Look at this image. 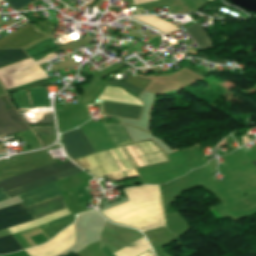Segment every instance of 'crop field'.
I'll use <instances>...</instances> for the list:
<instances>
[{
  "label": "crop field",
  "instance_id": "1",
  "mask_svg": "<svg viewBox=\"0 0 256 256\" xmlns=\"http://www.w3.org/2000/svg\"><path fill=\"white\" fill-rule=\"evenodd\" d=\"M78 168L77 167L72 168L70 170L50 176V178L52 179V181H56V180L83 172ZM50 178L47 177L45 179L36 181L34 183L25 185L23 187L11 190L9 192H6V194L8 195L9 198L14 197L21 193H24L29 190L35 189L37 187L43 186L45 184L51 183L52 181L50 180ZM58 197H61V194L55 182L47 186L38 188L36 190L19 195V198L21 199V201L24 202L27 209L40 205L42 203L48 202L50 200L56 199ZM65 208L66 207L64 205L63 198L61 197L56 200L50 201L48 203L42 204L32 209H29V212L34 217V219H36ZM73 220L74 219L70 213L66 216L41 224V226L53 237L59 231H61L63 228H65L67 225L73 222Z\"/></svg>",
  "mask_w": 256,
  "mask_h": 256
},
{
  "label": "crop field",
  "instance_id": "2",
  "mask_svg": "<svg viewBox=\"0 0 256 256\" xmlns=\"http://www.w3.org/2000/svg\"><path fill=\"white\" fill-rule=\"evenodd\" d=\"M104 126L116 147L132 143L124 126L108 124H104ZM62 136L64 140V148L72 159L94 153V150L83 135L80 128H77Z\"/></svg>",
  "mask_w": 256,
  "mask_h": 256
},
{
  "label": "crop field",
  "instance_id": "3",
  "mask_svg": "<svg viewBox=\"0 0 256 256\" xmlns=\"http://www.w3.org/2000/svg\"><path fill=\"white\" fill-rule=\"evenodd\" d=\"M75 167L70 161L59 164L58 162L44 166L42 168L18 175L16 177L4 180L0 182V189L3 188L4 191H9L11 189L20 187L22 185L31 183L33 181L42 179L44 177L53 175L55 173L67 170L69 168Z\"/></svg>",
  "mask_w": 256,
  "mask_h": 256
},
{
  "label": "crop field",
  "instance_id": "4",
  "mask_svg": "<svg viewBox=\"0 0 256 256\" xmlns=\"http://www.w3.org/2000/svg\"><path fill=\"white\" fill-rule=\"evenodd\" d=\"M5 95L0 85V96ZM29 130L20 119L7 95L0 97V137Z\"/></svg>",
  "mask_w": 256,
  "mask_h": 256
},
{
  "label": "crop field",
  "instance_id": "5",
  "mask_svg": "<svg viewBox=\"0 0 256 256\" xmlns=\"http://www.w3.org/2000/svg\"><path fill=\"white\" fill-rule=\"evenodd\" d=\"M39 32V31H38ZM29 24L0 40V48L26 47L45 37Z\"/></svg>",
  "mask_w": 256,
  "mask_h": 256
},
{
  "label": "crop field",
  "instance_id": "6",
  "mask_svg": "<svg viewBox=\"0 0 256 256\" xmlns=\"http://www.w3.org/2000/svg\"><path fill=\"white\" fill-rule=\"evenodd\" d=\"M29 220L33 219L22 202L0 210V230Z\"/></svg>",
  "mask_w": 256,
  "mask_h": 256
},
{
  "label": "crop field",
  "instance_id": "7",
  "mask_svg": "<svg viewBox=\"0 0 256 256\" xmlns=\"http://www.w3.org/2000/svg\"><path fill=\"white\" fill-rule=\"evenodd\" d=\"M141 108L142 107L109 102H104L102 105L103 112L108 115L134 119L139 118Z\"/></svg>",
  "mask_w": 256,
  "mask_h": 256
},
{
  "label": "crop field",
  "instance_id": "8",
  "mask_svg": "<svg viewBox=\"0 0 256 256\" xmlns=\"http://www.w3.org/2000/svg\"><path fill=\"white\" fill-rule=\"evenodd\" d=\"M21 249L22 247L11 235L0 238V254H6Z\"/></svg>",
  "mask_w": 256,
  "mask_h": 256
},
{
  "label": "crop field",
  "instance_id": "9",
  "mask_svg": "<svg viewBox=\"0 0 256 256\" xmlns=\"http://www.w3.org/2000/svg\"><path fill=\"white\" fill-rule=\"evenodd\" d=\"M27 57L21 49L0 50V65Z\"/></svg>",
  "mask_w": 256,
  "mask_h": 256
},
{
  "label": "crop field",
  "instance_id": "10",
  "mask_svg": "<svg viewBox=\"0 0 256 256\" xmlns=\"http://www.w3.org/2000/svg\"><path fill=\"white\" fill-rule=\"evenodd\" d=\"M184 29L194 39V41L199 46V48H208L209 47L205 38L202 36V34L199 32V30L196 28V26L194 24H192Z\"/></svg>",
  "mask_w": 256,
  "mask_h": 256
},
{
  "label": "crop field",
  "instance_id": "11",
  "mask_svg": "<svg viewBox=\"0 0 256 256\" xmlns=\"http://www.w3.org/2000/svg\"><path fill=\"white\" fill-rule=\"evenodd\" d=\"M125 82L143 90L144 87L148 84L149 80H145V79L127 75Z\"/></svg>",
  "mask_w": 256,
  "mask_h": 256
},
{
  "label": "crop field",
  "instance_id": "12",
  "mask_svg": "<svg viewBox=\"0 0 256 256\" xmlns=\"http://www.w3.org/2000/svg\"><path fill=\"white\" fill-rule=\"evenodd\" d=\"M39 135H55L54 126H32Z\"/></svg>",
  "mask_w": 256,
  "mask_h": 256
},
{
  "label": "crop field",
  "instance_id": "13",
  "mask_svg": "<svg viewBox=\"0 0 256 256\" xmlns=\"http://www.w3.org/2000/svg\"><path fill=\"white\" fill-rule=\"evenodd\" d=\"M109 84H113V85H117V86H122L125 89H127L129 91H132V92H134V93H136L138 95L142 92L141 90H139V89H137V88H135V87L125 83V82L118 81V80H115V79L109 81Z\"/></svg>",
  "mask_w": 256,
  "mask_h": 256
},
{
  "label": "crop field",
  "instance_id": "14",
  "mask_svg": "<svg viewBox=\"0 0 256 256\" xmlns=\"http://www.w3.org/2000/svg\"><path fill=\"white\" fill-rule=\"evenodd\" d=\"M9 5H11L15 10L27 5L33 0H5Z\"/></svg>",
  "mask_w": 256,
  "mask_h": 256
},
{
  "label": "crop field",
  "instance_id": "15",
  "mask_svg": "<svg viewBox=\"0 0 256 256\" xmlns=\"http://www.w3.org/2000/svg\"><path fill=\"white\" fill-rule=\"evenodd\" d=\"M194 24H195V25L197 26V28L201 31V33L204 35V37L206 38V40H207L209 46L213 45L212 42L210 41L208 35H207L206 32L201 28V26L198 24V22H196V23H194Z\"/></svg>",
  "mask_w": 256,
  "mask_h": 256
},
{
  "label": "crop field",
  "instance_id": "16",
  "mask_svg": "<svg viewBox=\"0 0 256 256\" xmlns=\"http://www.w3.org/2000/svg\"><path fill=\"white\" fill-rule=\"evenodd\" d=\"M5 199H8V197L6 196V194L3 192V190H0V201H3Z\"/></svg>",
  "mask_w": 256,
  "mask_h": 256
},
{
  "label": "crop field",
  "instance_id": "17",
  "mask_svg": "<svg viewBox=\"0 0 256 256\" xmlns=\"http://www.w3.org/2000/svg\"><path fill=\"white\" fill-rule=\"evenodd\" d=\"M143 238H144V237H143ZM141 239H142V238H141ZM139 240H140V239H139ZM137 241H138V240H137ZM135 242H136V241H135ZM133 243H134V242H133ZM133 243H132V244H133ZM130 245H131V244H130ZM128 246H129V245H128ZM126 247H127V246H126ZM124 248H125V247H124ZM124 248H123V249H124ZM121 250H122V249H121ZM119 251H120V250H119ZM117 252H118V251H117ZM115 253H116V252H115ZM113 254H114V253H113Z\"/></svg>",
  "mask_w": 256,
  "mask_h": 256
},
{
  "label": "crop field",
  "instance_id": "18",
  "mask_svg": "<svg viewBox=\"0 0 256 256\" xmlns=\"http://www.w3.org/2000/svg\"><path fill=\"white\" fill-rule=\"evenodd\" d=\"M252 164L256 166V161H255V162H252Z\"/></svg>",
  "mask_w": 256,
  "mask_h": 256
},
{
  "label": "crop field",
  "instance_id": "19",
  "mask_svg": "<svg viewBox=\"0 0 256 256\" xmlns=\"http://www.w3.org/2000/svg\"><path fill=\"white\" fill-rule=\"evenodd\" d=\"M2 156H5V155H0V157H2Z\"/></svg>",
  "mask_w": 256,
  "mask_h": 256
}]
</instances>
